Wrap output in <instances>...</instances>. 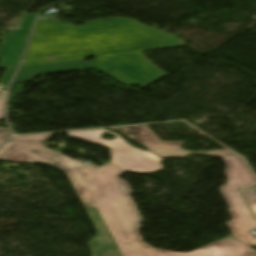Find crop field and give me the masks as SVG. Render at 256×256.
Here are the masks:
<instances>
[{
    "label": "crop field",
    "mask_w": 256,
    "mask_h": 256,
    "mask_svg": "<svg viewBox=\"0 0 256 256\" xmlns=\"http://www.w3.org/2000/svg\"><path fill=\"white\" fill-rule=\"evenodd\" d=\"M159 256H256V251L247 247L233 237H228L216 243L191 253H176L156 249Z\"/></svg>",
    "instance_id": "crop-field-6"
},
{
    "label": "crop field",
    "mask_w": 256,
    "mask_h": 256,
    "mask_svg": "<svg viewBox=\"0 0 256 256\" xmlns=\"http://www.w3.org/2000/svg\"><path fill=\"white\" fill-rule=\"evenodd\" d=\"M227 169V181L224 186H221V191L250 188L256 185V178L242 161L239 155H232L221 158Z\"/></svg>",
    "instance_id": "crop-field-7"
},
{
    "label": "crop field",
    "mask_w": 256,
    "mask_h": 256,
    "mask_svg": "<svg viewBox=\"0 0 256 256\" xmlns=\"http://www.w3.org/2000/svg\"><path fill=\"white\" fill-rule=\"evenodd\" d=\"M229 205V213L232 215L227 226L234 236L250 246H256V237L251 230L256 229V222L250 214L238 190L221 192Z\"/></svg>",
    "instance_id": "crop-field-4"
},
{
    "label": "crop field",
    "mask_w": 256,
    "mask_h": 256,
    "mask_svg": "<svg viewBox=\"0 0 256 256\" xmlns=\"http://www.w3.org/2000/svg\"><path fill=\"white\" fill-rule=\"evenodd\" d=\"M4 99H5V92H0V120L3 118Z\"/></svg>",
    "instance_id": "crop-field-16"
},
{
    "label": "crop field",
    "mask_w": 256,
    "mask_h": 256,
    "mask_svg": "<svg viewBox=\"0 0 256 256\" xmlns=\"http://www.w3.org/2000/svg\"><path fill=\"white\" fill-rule=\"evenodd\" d=\"M109 133L116 138L111 141L103 140L100 136ZM68 136L105 146L110 149L111 163L124 171L137 173H152L162 169L160 164L162 158L136 147L130 146L123 138L113 132L104 129L91 131L67 132Z\"/></svg>",
    "instance_id": "crop-field-3"
},
{
    "label": "crop field",
    "mask_w": 256,
    "mask_h": 256,
    "mask_svg": "<svg viewBox=\"0 0 256 256\" xmlns=\"http://www.w3.org/2000/svg\"><path fill=\"white\" fill-rule=\"evenodd\" d=\"M158 150H161V149H158ZM165 150H181V149H165ZM207 153L215 154V155H217L219 157H224V156H228V155L234 154V153H232L228 149L220 150V151H216V152H207Z\"/></svg>",
    "instance_id": "crop-field-15"
},
{
    "label": "crop field",
    "mask_w": 256,
    "mask_h": 256,
    "mask_svg": "<svg viewBox=\"0 0 256 256\" xmlns=\"http://www.w3.org/2000/svg\"><path fill=\"white\" fill-rule=\"evenodd\" d=\"M150 152L162 157V158H186L188 152L185 151H153ZM191 154H200V155H211L207 153H191ZM214 156V155H212Z\"/></svg>",
    "instance_id": "crop-field-10"
},
{
    "label": "crop field",
    "mask_w": 256,
    "mask_h": 256,
    "mask_svg": "<svg viewBox=\"0 0 256 256\" xmlns=\"http://www.w3.org/2000/svg\"><path fill=\"white\" fill-rule=\"evenodd\" d=\"M40 21L22 66L96 57L92 67L122 85L147 86L167 76L145 60L142 51L182 46L180 40L132 19L90 21L80 27Z\"/></svg>",
    "instance_id": "crop-field-1"
},
{
    "label": "crop field",
    "mask_w": 256,
    "mask_h": 256,
    "mask_svg": "<svg viewBox=\"0 0 256 256\" xmlns=\"http://www.w3.org/2000/svg\"><path fill=\"white\" fill-rule=\"evenodd\" d=\"M46 142L9 141L0 150L1 161L52 165L66 172L99 229L98 242H90L93 256H157L143 243L138 231L142 218L135 207L127 181L119 178L123 170L107 162L101 167L71 160L47 149ZM87 208V206H86Z\"/></svg>",
    "instance_id": "crop-field-2"
},
{
    "label": "crop field",
    "mask_w": 256,
    "mask_h": 256,
    "mask_svg": "<svg viewBox=\"0 0 256 256\" xmlns=\"http://www.w3.org/2000/svg\"><path fill=\"white\" fill-rule=\"evenodd\" d=\"M242 193L256 216V193L254 189L242 190Z\"/></svg>",
    "instance_id": "crop-field-12"
},
{
    "label": "crop field",
    "mask_w": 256,
    "mask_h": 256,
    "mask_svg": "<svg viewBox=\"0 0 256 256\" xmlns=\"http://www.w3.org/2000/svg\"><path fill=\"white\" fill-rule=\"evenodd\" d=\"M35 17V14L25 15L20 24L21 30H11L4 34L0 43V69L17 66Z\"/></svg>",
    "instance_id": "crop-field-5"
},
{
    "label": "crop field",
    "mask_w": 256,
    "mask_h": 256,
    "mask_svg": "<svg viewBox=\"0 0 256 256\" xmlns=\"http://www.w3.org/2000/svg\"><path fill=\"white\" fill-rule=\"evenodd\" d=\"M52 134H42V135H32V136H17L13 138L12 140H17V141H46L48 137H50Z\"/></svg>",
    "instance_id": "crop-field-11"
},
{
    "label": "crop field",
    "mask_w": 256,
    "mask_h": 256,
    "mask_svg": "<svg viewBox=\"0 0 256 256\" xmlns=\"http://www.w3.org/2000/svg\"><path fill=\"white\" fill-rule=\"evenodd\" d=\"M115 129L123 132L130 139L145 146L147 149L149 148H154V149L181 148L183 145V142H176V143L160 142L157 139V137L151 132V130L145 125L121 127V128H115Z\"/></svg>",
    "instance_id": "crop-field-9"
},
{
    "label": "crop field",
    "mask_w": 256,
    "mask_h": 256,
    "mask_svg": "<svg viewBox=\"0 0 256 256\" xmlns=\"http://www.w3.org/2000/svg\"><path fill=\"white\" fill-rule=\"evenodd\" d=\"M15 69L16 68H12V69H7L6 70L5 75H4V77H3L2 81H1L2 83L6 84V86H5L3 91L6 90V87H7L8 83H9V81H10V79H11V77H12L14 71H15Z\"/></svg>",
    "instance_id": "crop-field-14"
},
{
    "label": "crop field",
    "mask_w": 256,
    "mask_h": 256,
    "mask_svg": "<svg viewBox=\"0 0 256 256\" xmlns=\"http://www.w3.org/2000/svg\"><path fill=\"white\" fill-rule=\"evenodd\" d=\"M91 65H92V62L85 63L82 60H78V61H71V62L25 66L20 68L14 82L29 81V80H32L36 75L43 74V73L63 72V71L76 70V69H87V68H90Z\"/></svg>",
    "instance_id": "crop-field-8"
},
{
    "label": "crop field",
    "mask_w": 256,
    "mask_h": 256,
    "mask_svg": "<svg viewBox=\"0 0 256 256\" xmlns=\"http://www.w3.org/2000/svg\"><path fill=\"white\" fill-rule=\"evenodd\" d=\"M10 137V131L8 128H0V145L7 141Z\"/></svg>",
    "instance_id": "crop-field-13"
}]
</instances>
